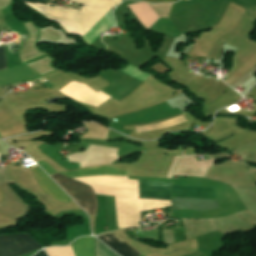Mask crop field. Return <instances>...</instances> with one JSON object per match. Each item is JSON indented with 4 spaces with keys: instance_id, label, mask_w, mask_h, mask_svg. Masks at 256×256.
I'll use <instances>...</instances> for the list:
<instances>
[{
    "instance_id": "dd49c442",
    "label": "crop field",
    "mask_w": 256,
    "mask_h": 256,
    "mask_svg": "<svg viewBox=\"0 0 256 256\" xmlns=\"http://www.w3.org/2000/svg\"><path fill=\"white\" fill-rule=\"evenodd\" d=\"M32 169L42 187L54 198L63 202L73 201L37 164Z\"/></svg>"
},
{
    "instance_id": "cbeb9de0",
    "label": "crop field",
    "mask_w": 256,
    "mask_h": 256,
    "mask_svg": "<svg viewBox=\"0 0 256 256\" xmlns=\"http://www.w3.org/2000/svg\"><path fill=\"white\" fill-rule=\"evenodd\" d=\"M7 68L5 46H0V70Z\"/></svg>"
},
{
    "instance_id": "733c2abd",
    "label": "crop field",
    "mask_w": 256,
    "mask_h": 256,
    "mask_svg": "<svg viewBox=\"0 0 256 256\" xmlns=\"http://www.w3.org/2000/svg\"><path fill=\"white\" fill-rule=\"evenodd\" d=\"M22 2H46V0H21Z\"/></svg>"
},
{
    "instance_id": "4a817a6b",
    "label": "crop field",
    "mask_w": 256,
    "mask_h": 256,
    "mask_svg": "<svg viewBox=\"0 0 256 256\" xmlns=\"http://www.w3.org/2000/svg\"><path fill=\"white\" fill-rule=\"evenodd\" d=\"M35 256H47L46 254H45V252L44 251H40L38 254H36Z\"/></svg>"
},
{
    "instance_id": "8a807250",
    "label": "crop field",
    "mask_w": 256,
    "mask_h": 256,
    "mask_svg": "<svg viewBox=\"0 0 256 256\" xmlns=\"http://www.w3.org/2000/svg\"><path fill=\"white\" fill-rule=\"evenodd\" d=\"M26 4L36 9L47 18L60 24L69 33H76L83 36L91 30V28L109 9H111L87 7L83 5L81 10L78 11L75 9L50 7L49 5L43 4Z\"/></svg>"
},
{
    "instance_id": "e52e79f7",
    "label": "crop field",
    "mask_w": 256,
    "mask_h": 256,
    "mask_svg": "<svg viewBox=\"0 0 256 256\" xmlns=\"http://www.w3.org/2000/svg\"><path fill=\"white\" fill-rule=\"evenodd\" d=\"M174 208L207 210L219 207L216 200L172 197Z\"/></svg>"
},
{
    "instance_id": "d9b57169",
    "label": "crop field",
    "mask_w": 256,
    "mask_h": 256,
    "mask_svg": "<svg viewBox=\"0 0 256 256\" xmlns=\"http://www.w3.org/2000/svg\"><path fill=\"white\" fill-rule=\"evenodd\" d=\"M142 1H148V2H154V3L174 2V0H142Z\"/></svg>"
},
{
    "instance_id": "d8731c3e",
    "label": "crop field",
    "mask_w": 256,
    "mask_h": 256,
    "mask_svg": "<svg viewBox=\"0 0 256 256\" xmlns=\"http://www.w3.org/2000/svg\"><path fill=\"white\" fill-rule=\"evenodd\" d=\"M101 241L105 242L120 256H139L137 251L115 236L112 232L101 234L97 236Z\"/></svg>"
},
{
    "instance_id": "3316defc",
    "label": "crop field",
    "mask_w": 256,
    "mask_h": 256,
    "mask_svg": "<svg viewBox=\"0 0 256 256\" xmlns=\"http://www.w3.org/2000/svg\"><path fill=\"white\" fill-rule=\"evenodd\" d=\"M134 15L149 29L159 18L156 13L146 3H136L128 5Z\"/></svg>"
},
{
    "instance_id": "28ad6ade",
    "label": "crop field",
    "mask_w": 256,
    "mask_h": 256,
    "mask_svg": "<svg viewBox=\"0 0 256 256\" xmlns=\"http://www.w3.org/2000/svg\"><path fill=\"white\" fill-rule=\"evenodd\" d=\"M71 246L76 256H94V237H80Z\"/></svg>"
},
{
    "instance_id": "ac0d7876",
    "label": "crop field",
    "mask_w": 256,
    "mask_h": 256,
    "mask_svg": "<svg viewBox=\"0 0 256 256\" xmlns=\"http://www.w3.org/2000/svg\"><path fill=\"white\" fill-rule=\"evenodd\" d=\"M62 174L68 177L97 175L128 176L126 172L111 168L109 166L94 167L73 172H64ZM52 177L69 193L72 198H74L79 203L82 208H84L91 215L95 216L98 203L91 187H88L72 179L66 178L58 173L53 175Z\"/></svg>"
},
{
    "instance_id": "412701ff",
    "label": "crop field",
    "mask_w": 256,
    "mask_h": 256,
    "mask_svg": "<svg viewBox=\"0 0 256 256\" xmlns=\"http://www.w3.org/2000/svg\"><path fill=\"white\" fill-rule=\"evenodd\" d=\"M40 248L29 234L0 237V256H20Z\"/></svg>"
},
{
    "instance_id": "bc2a9ffb",
    "label": "crop field",
    "mask_w": 256,
    "mask_h": 256,
    "mask_svg": "<svg viewBox=\"0 0 256 256\" xmlns=\"http://www.w3.org/2000/svg\"><path fill=\"white\" fill-rule=\"evenodd\" d=\"M1 138V137H0Z\"/></svg>"
},
{
    "instance_id": "d1516ede",
    "label": "crop field",
    "mask_w": 256,
    "mask_h": 256,
    "mask_svg": "<svg viewBox=\"0 0 256 256\" xmlns=\"http://www.w3.org/2000/svg\"><path fill=\"white\" fill-rule=\"evenodd\" d=\"M73 1L94 5V6H115L121 2V0H73Z\"/></svg>"
},
{
    "instance_id": "22f410ed",
    "label": "crop field",
    "mask_w": 256,
    "mask_h": 256,
    "mask_svg": "<svg viewBox=\"0 0 256 256\" xmlns=\"http://www.w3.org/2000/svg\"><path fill=\"white\" fill-rule=\"evenodd\" d=\"M96 256H118L103 243L96 239Z\"/></svg>"
},
{
    "instance_id": "34b2d1b8",
    "label": "crop field",
    "mask_w": 256,
    "mask_h": 256,
    "mask_svg": "<svg viewBox=\"0 0 256 256\" xmlns=\"http://www.w3.org/2000/svg\"><path fill=\"white\" fill-rule=\"evenodd\" d=\"M118 228L140 226V212L171 206V201L115 197Z\"/></svg>"
},
{
    "instance_id": "5142ce71",
    "label": "crop field",
    "mask_w": 256,
    "mask_h": 256,
    "mask_svg": "<svg viewBox=\"0 0 256 256\" xmlns=\"http://www.w3.org/2000/svg\"><path fill=\"white\" fill-rule=\"evenodd\" d=\"M38 164H39L41 167H43V168L48 172L49 175H51V174H53V173L56 172V171H55L51 166H49L45 161H40V162H38Z\"/></svg>"
},
{
    "instance_id": "f4fd0767",
    "label": "crop field",
    "mask_w": 256,
    "mask_h": 256,
    "mask_svg": "<svg viewBox=\"0 0 256 256\" xmlns=\"http://www.w3.org/2000/svg\"><path fill=\"white\" fill-rule=\"evenodd\" d=\"M172 183L139 180L140 198L170 200Z\"/></svg>"
},
{
    "instance_id": "5a996713",
    "label": "crop field",
    "mask_w": 256,
    "mask_h": 256,
    "mask_svg": "<svg viewBox=\"0 0 256 256\" xmlns=\"http://www.w3.org/2000/svg\"><path fill=\"white\" fill-rule=\"evenodd\" d=\"M172 196L216 199L214 189L211 187L173 186Z\"/></svg>"
}]
</instances>
